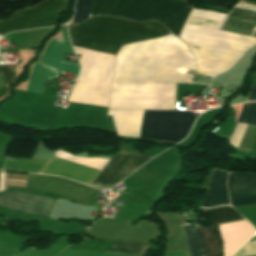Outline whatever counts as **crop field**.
Here are the masks:
<instances>
[{
    "label": "crop field",
    "instance_id": "obj_20",
    "mask_svg": "<svg viewBox=\"0 0 256 256\" xmlns=\"http://www.w3.org/2000/svg\"><path fill=\"white\" fill-rule=\"evenodd\" d=\"M91 0H77L75 14L72 18V24L81 22L87 19L88 11L90 7Z\"/></svg>",
    "mask_w": 256,
    "mask_h": 256
},
{
    "label": "crop field",
    "instance_id": "obj_1",
    "mask_svg": "<svg viewBox=\"0 0 256 256\" xmlns=\"http://www.w3.org/2000/svg\"><path fill=\"white\" fill-rule=\"evenodd\" d=\"M68 28L73 46L112 54L124 44L170 34L155 21L139 23L111 17H93ZM74 49L81 54V72L67 101L108 107L115 55Z\"/></svg>",
    "mask_w": 256,
    "mask_h": 256
},
{
    "label": "crop field",
    "instance_id": "obj_24",
    "mask_svg": "<svg viewBox=\"0 0 256 256\" xmlns=\"http://www.w3.org/2000/svg\"><path fill=\"white\" fill-rule=\"evenodd\" d=\"M242 2L256 4V0H241Z\"/></svg>",
    "mask_w": 256,
    "mask_h": 256
},
{
    "label": "crop field",
    "instance_id": "obj_15",
    "mask_svg": "<svg viewBox=\"0 0 256 256\" xmlns=\"http://www.w3.org/2000/svg\"><path fill=\"white\" fill-rule=\"evenodd\" d=\"M62 45V41L53 38L39 59V62L55 69L59 73L66 71L74 76H77L79 72V65L61 61Z\"/></svg>",
    "mask_w": 256,
    "mask_h": 256
},
{
    "label": "crop field",
    "instance_id": "obj_3",
    "mask_svg": "<svg viewBox=\"0 0 256 256\" xmlns=\"http://www.w3.org/2000/svg\"><path fill=\"white\" fill-rule=\"evenodd\" d=\"M224 14L192 9L180 38L189 46L197 71L215 76L231 67L256 38L219 31Z\"/></svg>",
    "mask_w": 256,
    "mask_h": 256
},
{
    "label": "crop field",
    "instance_id": "obj_18",
    "mask_svg": "<svg viewBox=\"0 0 256 256\" xmlns=\"http://www.w3.org/2000/svg\"><path fill=\"white\" fill-rule=\"evenodd\" d=\"M149 244L116 241L106 252L143 256Z\"/></svg>",
    "mask_w": 256,
    "mask_h": 256
},
{
    "label": "crop field",
    "instance_id": "obj_8",
    "mask_svg": "<svg viewBox=\"0 0 256 256\" xmlns=\"http://www.w3.org/2000/svg\"><path fill=\"white\" fill-rule=\"evenodd\" d=\"M204 212L211 216V223L213 224L208 229H203L200 227L208 256H219L218 245L214 236L215 225L242 220V218L236 215L229 207L206 209ZM182 227L186 234L191 256H207L199 227L194 224Z\"/></svg>",
    "mask_w": 256,
    "mask_h": 256
},
{
    "label": "crop field",
    "instance_id": "obj_23",
    "mask_svg": "<svg viewBox=\"0 0 256 256\" xmlns=\"http://www.w3.org/2000/svg\"><path fill=\"white\" fill-rule=\"evenodd\" d=\"M256 100V86H252V91L250 92L247 101H253Z\"/></svg>",
    "mask_w": 256,
    "mask_h": 256
},
{
    "label": "crop field",
    "instance_id": "obj_6",
    "mask_svg": "<svg viewBox=\"0 0 256 256\" xmlns=\"http://www.w3.org/2000/svg\"><path fill=\"white\" fill-rule=\"evenodd\" d=\"M195 117L192 112L145 110L139 138L178 142Z\"/></svg>",
    "mask_w": 256,
    "mask_h": 256
},
{
    "label": "crop field",
    "instance_id": "obj_12",
    "mask_svg": "<svg viewBox=\"0 0 256 256\" xmlns=\"http://www.w3.org/2000/svg\"><path fill=\"white\" fill-rule=\"evenodd\" d=\"M40 173L62 176L90 185L99 170L54 157Z\"/></svg>",
    "mask_w": 256,
    "mask_h": 256
},
{
    "label": "crop field",
    "instance_id": "obj_2",
    "mask_svg": "<svg viewBox=\"0 0 256 256\" xmlns=\"http://www.w3.org/2000/svg\"><path fill=\"white\" fill-rule=\"evenodd\" d=\"M178 68L195 69V62L186 43L170 34L123 46L112 82L190 84L193 75L180 74Z\"/></svg>",
    "mask_w": 256,
    "mask_h": 256
},
{
    "label": "crop field",
    "instance_id": "obj_4",
    "mask_svg": "<svg viewBox=\"0 0 256 256\" xmlns=\"http://www.w3.org/2000/svg\"><path fill=\"white\" fill-rule=\"evenodd\" d=\"M190 9L181 0H92L88 18L108 15L139 22L156 20L178 35Z\"/></svg>",
    "mask_w": 256,
    "mask_h": 256
},
{
    "label": "crop field",
    "instance_id": "obj_22",
    "mask_svg": "<svg viewBox=\"0 0 256 256\" xmlns=\"http://www.w3.org/2000/svg\"><path fill=\"white\" fill-rule=\"evenodd\" d=\"M61 31L64 39L63 52H73L71 45L69 44V41H68L65 25L61 26Z\"/></svg>",
    "mask_w": 256,
    "mask_h": 256
},
{
    "label": "crop field",
    "instance_id": "obj_10",
    "mask_svg": "<svg viewBox=\"0 0 256 256\" xmlns=\"http://www.w3.org/2000/svg\"><path fill=\"white\" fill-rule=\"evenodd\" d=\"M227 187L232 207L256 203V175L229 172Z\"/></svg>",
    "mask_w": 256,
    "mask_h": 256
},
{
    "label": "crop field",
    "instance_id": "obj_13",
    "mask_svg": "<svg viewBox=\"0 0 256 256\" xmlns=\"http://www.w3.org/2000/svg\"><path fill=\"white\" fill-rule=\"evenodd\" d=\"M219 229L225 247V256L234 253L255 232L246 220L219 225Z\"/></svg>",
    "mask_w": 256,
    "mask_h": 256
},
{
    "label": "crop field",
    "instance_id": "obj_11",
    "mask_svg": "<svg viewBox=\"0 0 256 256\" xmlns=\"http://www.w3.org/2000/svg\"><path fill=\"white\" fill-rule=\"evenodd\" d=\"M56 201L41 198L18 191H11L0 195V205L17 210L49 216Z\"/></svg>",
    "mask_w": 256,
    "mask_h": 256
},
{
    "label": "crop field",
    "instance_id": "obj_19",
    "mask_svg": "<svg viewBox=\"0 0 256 256\" xmlns=\"http://www.w3.org/2000/svg\"><path fill=\"white\" fill-rule=\"evenodd\" d=\"M237 122L256 125V102L243 105Z\"/></svg>",
    "mask_w": 256,
    "mask_h": 256
},
{
    "label": "crop field",
    "instance_id": "obj_14",
    "mask_svg": "<svg viewBox=\"0 0 256 256\" xmlns=\"http://www.w3.org/2000/svg\"><path fill=\"white\" fill-rule=\"evenodd\" d=\"M227 172L214 169L210 178L209 188L202 207H213L229 204L226 183Z\"/></svg>",
    "mask_w": 256,
    "mask_h": 256
},
{
    "label": "crop field",
    "instance_id": "obj_7",
    "mask_svg": "<svg viewBox=\"0 0 256 256\" xmlns=\"http://www.w3.org/2000/svg\"><path fill=\"white\" fill-rule=\"evenodd\" d=\"M66 7V0H49L31 10L17 12L10 19L0 23V34L3 36L10 31L56 25Z\"/></svg>",
    "mask_w": 256,
    "mask_h": 256
},
{
    "label": "crop field",
    "instance_id": "obj_17",
    "mask_svg": "<svg viewBox=\"0 0 256 256\" xmlns=\"http://www.w3.org/2000/svg\"><path fill=\"white\" fill-rule=\"evenodd\" d=\"M58 74L48 67L37 63L25 90L42 93L46 80L55 78Z\"/></svg>",
    "mask_w": 256,
    "mask_h": 256
},
{
    "label": "crop field",
    "instance_id": "obj_21",
    "mask_svg": "<svg viewBox=\"0 0 256 256\" xmlns=\"http://www.w3.org/2000/svg\"><path fill=\"white\" fill-rule=\"evenodd\" d=\"M14 80V67L4 68L0 66V98L5 96V85L11 84Z\"/></svg>",
    "mask_w": 256,
    "mask_h": 256
},
{
    "label": "crop field",
    "instance_id": "obj_9",
    "mask_svg": "<svg viewBox=\"0 0 256 256\" xmlns=\"http://www.w3.org/2000/svg\"><path fill=\"white\" fill-rule=\"evenodd\" d=\"M150 158L151 156L119 151L114 154L94 183L111 187Z\"/></svg>",
    "mask_w": 256,
    "mask_h": 256
},
{
    "label": "crop field",
    "instance_id": "obj_5",
    "mask_svg": "<svg viewBox=\"0 0 256 256\" xmlns=\"http://www.w3.org/2000/svg\"><path fill=\"white\" fill-rule=\"evenodd\" d=\"M176 84L112 83L109 108L175 109Z\"/></svg>",
    "mask_w": 256,
    "mask_h": 256
},
{
    "label": "crop field",
    "instance_id": "obj_16",
    "mask_svg": "<svg viewBox=\"0 0 256 256\" xmlns=\"http://www.w3.org/2000/svg\"><path fill=\"white\" fill-rule=\"evenodd\" d=\"M49 161L7 157L2 170L38 173Z\"/></svg>",
    "mask_w": 256,
    "mask_h": 256
}]
</instances>
